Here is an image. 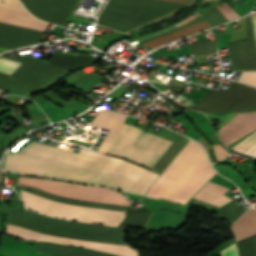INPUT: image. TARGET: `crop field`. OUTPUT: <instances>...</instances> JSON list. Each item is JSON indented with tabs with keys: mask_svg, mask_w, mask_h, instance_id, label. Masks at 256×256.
Returning a JSON list of instances; mask_svg holds the SVG:
<instances>
[{
	"mask_svg": "<svg viewBox=\"0 0 256 256\" xmlns=\"http://www.w3.org/2000/svg\"><path fill=\"white\" fill-rule=\"evenodd\" d=\"M2 181H3V171H2V177H1V183H0V185L2 184Z\"/></svg>",
	"mask_w": 256,
	"mask_h": 256,
	"instance_id": "27",
	"label": "crop field"
},
{
	"mask_svg": "<svg viewBox=\"0 0 256 256\" xmlns=\"http://www.w3.org/2000/svg\"><path fill=\"white\" fill-rule=\"evenodd\" d=\"M19 184L32 186L34 188L42 189L49 193L57 194V195L68 197V198L123 204V205L130 206V203H129L130 201L128 202V200L122 194L106 188L69 184V183L44 180V179L22 178V177L20 179ZM22 187L35 190V192H32V191H29V192L35 195H38L40 197H43L45 199L56 201V202L86 205V206L106 208V209H112V210H118V211H124V212H128L130 208L129 206H123V205L68 199V198L52 195L42 190L34 189L32 187H27V186H22ZM26 191L21 190L22 199L26 209H29L35 213H39L42 215L61 218V219L76 220L80 222L105 224L108 226H118L126 216V213H123V212L92 208V207H86V206H79V205L56 203V202L45 200L43 198L35 196Z\"/></svg>",
	"mask_w": 256,
	"mask_h": 256,
	"instance_id": "2",
	"label": "crop field"
},
{
	"mask_svg": "<svg viewBox=\"0 0 256 256\" xmlns=\"http://www.w3.org/2000/svg\"><path fill=\"white\" fill-rule=\"evenodd\" d=\"M126 115H122L112 111H99L90 125L110 129L106 139L98 149V152L106 153L111 142L119 131L122 123L124 122Z\"/></svg>",
	"mask_w": 256,
	"mask_h": 256,
	"instance_id": "13",
	"label": "crop field"
},
{
	"mask_svg": "<svg viewBox=\"0 0 256 256\" xmlns=\"http://www.w3.org/2000/svg\"><path fill=\"white\" fill-rule=\"evenodd\" d=\"M201 190L205 191V192H208V193H211L213 195H216L218 197H221V198H224L226 200H229L231 198L223 195L222 193L227 191L228 189L226 188H223V187H220L218 185H215V184H212L210 182H208ZM205 192H200L196 197V199H199L201 201H204L206 203H209L211 205H214V206H219L225 202H227L226 200H223L221 198H218V197H215L213 195H210V194H207Z\"/></svg>",
	"mask_w": 256,
	"mask_h": 256,
	"instance_id": "17",
	"label": "crop field"
},
{
	"mask_svg": "<svg viewBox=\"0 0 256 256\" xmlns=\"http://www.w3.org/2000/svg\"><path fill=\"white\" fill-rule=\"evenodd\" d=\"M236 113H223V114H209L208 116L219 119L221 124H225L230 120Z\"/></svg>",
	"mask_w": 256,
	"mask_h": 256,
	"instance_id": "23",
	"label": "crop field"
},
{
	"mask_svg": "<svg viewBox=\"0 0 256 256\" xmlns=\"http://www.w3.org/2000/svg\"><path fill=\"white\" fill-rule=\"evenodd\" d=\"M185 6L162 0H109L97 24L126 32Z\"/></svg>",
	"mask_w": 256,
	"mask_h": 256,
	"instance_id": "5",
	"label": "crop field"
},
{
	"mask_svg": "<svg viewBox=\"0 0 256 256\" xmlns=\"http://www.w3.org/2000/svg\"><path fill=\"white\" fill-rule=\"evenodd\" d=\"M192 108L203 113L255 111L256 89L233 81L228 92L210 89L206 97ZM255 144L256 131L231 149L242 154ZM244 155L256 157V145Z\"/></svg>",
	"mask_w": 256,
	"mask_h": 256,
	"instance_id": "6",
	"label": "crop field"
},
{
	"mask_svg": "<svg viewBox=\"0 0 256 256\" xmlns=\"http://www.w3.org/2000/svg\"><path fill=\"white\" fill-rule=\"evenodd\" d=\"M256 31V16H253ZM252 17L247 20V39L229 43L233 70H256V37Z\"/></svg>",
	"mask_w": 256,
	"mask_h": 256,
	"instance_id": "9",
	"label": "crop field"
},
{
	"mask_svg": "<svg viewBox=\"0 0 256 256\" xmlns=\"http://www.w3.org/2000/svg\"><path fill=\"white\" fill-rule=\"evenodd\" d=\"M208 27H210V24L207 22V20H205V21H202L200 23L194 24L192 26L185 27V28L173 31L171 33L159 36L157 38H154V39L148 41L147 43L143 44V46L154 49L155 47H157L161 44L167 43V42L172 41V40L179 39V38L184 37L186 35H189V34L197 32V31L206 29Z\"/></svg>",
	"mask_w": 256,
	"mask_h": 256,
	"instance_id": "15",
	"label": "crop field"
},
{
	"mask_svg": "<svg viewBox=\"0 0 256 256\" xmlns=\"http://www.w3.org/2000/svg\"><path fill=\"white\" fill-rule=\"evenodd\" d=\"M162 174L167 189L185 202L215 175L207 165L201 148L191 141ZM172 194L165 189L160 176L147 196L156 199L161 197L183 203Z\"/></svg>",
	"mask_w": 256,
	"mask_h": 256,
	"instance_id": "4",
	"label": "crop field"
},
{
	"mask_svg": "<svg viewBox=\"0 0 256 256\" xmlns=\"http://www.w3.org/2000/svg\"><path fill=\"white\" fill-rule=\"evenodd\" d=\"M5 169L28 175L105 185L144 196L158 174L125 160L81 148L78 154L31 142L7 153Z\"/></svg>",
	"mask_w": 256,
	"mask_h": 256,
	"instance_id": "1",
	"label": "crop field"
},
{
	"mask_svg": "<svg viewBox=\"0 0 256 256\" xmlns=\"http://www.w3.org/2000/svg\"><path fill=\"white\" fill-rule=\"evenodd\" d=\"M215 152L217 156V160H220L228 155H230L226 150H224L220 145L215 146Z\"/></svg>",
	"mask_w": 256,
	"mask_h": 256,
	"instance_id": "25",
	"label": "crop field"
},
{
	"mask_svg": "<svg viewBox=\"0 0 256 256\" xmlns=\"http://www.w3.org/2000/svg\"><path fill=\"white\" fill-rule=\"evenodd\" d=\"M7 213L8 223L16 224L20 227L31 229L34 231L50 235L72 237L97 242L125 244L122 241L121 228H109L90 224L50 219L20 209H18L17 211L7 210ZM11 224H8L6 233L16 237L89 247L104 252L119 254L122 256H138V253L128 245L97 243L78 239L50 236L23 229Z\"/></svg>",
	"mask_w": 256,
	"mask_h": 256,
	"instance_id": "3",
	"label": "crop field"
},
{
	"mask_svg": "<svg viewBox=\"0 0 256 256\" xmlns=\"http://www.w3.org/2000/svg\"><path fill=\"white\" fill-rule=\"evenodd\" d=\"M236 241L243 240L256 234V211L251 208L242 214L231 225Z\"/></svg>",
	"mask_w": 256,
	"mask_h": 256,
	"instance_id": "14",
	"label": "crop field"
},
{
	"mask_svg": "<svg viewBox=\"0 0 256 256\" xmlns=\"http://www.w3.org/2000/svg\"><path fill=\"white\" fill-rule=\"evenodd\" d=\"M221 256H237L235 243L221 251Z\"/></svg>",
	"mask_w": 256,
	"mask_h": 256,
	"instance_id": "24",
	"label": "crop field"
},
{
	"mask_svg": "<svg viewBox=\"0 0 256 256\" xmlns=\"http://www.w3.org/2000/svg\"><path fill=\"white\" fill-rule=\"evenodd\" d=\"M239 82L256 86V72H243Z\"/></svg>",
	"mask_w": 256,
	"mask_h": 256,
	"instance_id": "22",
	"label": "crop field"
},
{
	"mask_svg": "<svg viewBox=\"0 0 256 256\" xmlns=\"http://www.w3.org/2000/svg\"><path fill=\"white\" fill-rule=\"evenodd\" d=\"M19 65L20 63L0 58V72L12 75Z\"/></svg>",
	"mask_w": 256,
	"mask_h": 256,
	"instance_id": "20",
	"label": "crop field"
},
{
	"mask_svg": "<svg viewBox=\"0 0 256 256\" xmlns=\"http://www.w3.org/2000/svg\"><path fill=\"white\" fill-rule=\"evenodd\" d=\"M171 144L135 126L123 124L107 154L125 157L152 168Z\"/></svg>",
	"mask_w": 256,
	"mask_h": 256,
	"instance_id": "7",
	"label": "crop field"
},
{
	"mask_svg": "<svg viewBox=\"0 0 256 256\" xmlns=\"http://www.w3.org/2000/svg\"><path fill=\"white\" fill-rule=\"evenodd\" d=\"M0 6L25 11L18 0H0ZM3 7H0V22L44 32L47 23L34 19L29 13Z\"/></svg>",
	"mask_w": 256,
	"mask_h": 256,
	"instance_id": "11",
	"label": "crop field"
},
{
	"mask_svg": "<svg viewBox=\"0 0 256 256\" xmlns=\"http://www.w3.org/2000/svg\"><path fill=\"white\" fill-rule=\"evenodd\" d=\"M169 1H175V2H181V3H187L190 4L192 0H169Z\"/></svg>",
	"mask_w": 256,
	"mask_h": 256,
	"instance_id": "26",
	"label": "crop field"
},
{
	"mask_svg": "<svg viewBox=\"0 0 256 256\" xmlns=\"http://www.w3.org/2000/svg\"><path fill=\"white\" fill-rule=\"evenodd\" d=\"M3 58L22 64L12 76L0 73V85L29 95L45 89L68 72L26 57L24 60L9 56Z\"/></svg>",
	"mask_w": 256,
	"mask_h": 256,
	"instance_id": "8",
	"label": "crop field"
},
{
	"mask_svg": "<svg viewBox=\"0 0 256 256\" xmlns=\"http://www.w3.org/2000/svg\"><path fill=\"white\" fill-rule=\"evenodd\" d=\"M38 252L52 253V256H115L93 250L70 248L40 243Z\"/></svg>",
	"mask_w": 256,
	"mask_h": 256,
	"instance_id": "16",
	"label": "crop field"
},
{
	"mask_svg": "<svg viewBox=\"0 0 256 256\" xmlns=\"http://www.w3.org/2000/svg\"><path fill=\"white\" fill-rule=\"evenodd\" d=\"M219 11L226 17L228 21L240 17L235 11H233L227 4L217 6Z\"/></svg>",
	"mask_w": 256,
	"mask_h": 256,
	"instance_id": "21",
	"label": "crop field"
},
{
	"mask_svg": "<svg viewBox=\"0 0 256 256\" xmlns=\"http://www.w3.org/2000/svg\"><path fill=\"white\" fill-rule=\"evenodd\" d=\"M188 140V138L180 135L178 139L172 144V146L167 150V152L156 163V165L152 168V171L161 173Z\"/></svg>",
	"mask_w": 256,
	"mask_h": 256,
	"instance_id": "18",
	"label": "crop field"
},
{
	"mask_svg": "<svg viewBox=\"0 0 256 256\" xmlns=\"http://www.w3.org/2000/svg\"><path fill=\"white\" fill-rule=\"evenodd\" d=\"M78 0H21L36 17L63 26Z\"/></svg>",
	"mask_w": 256,
	"mask_h": 256,
	"instance_id": "10",
	"label": "crop field"
},
{
	"mask_svg": "<svg viewBox=\"0 0 256 256\" xmlns=\"http://www.w3.org/2000/svg\"><path fill=\"white\" fill-rule=\"evenodd\" d=\"M0 50H2V51H6L7 49L0 48Z\"/></svg>",
	"mask_w": 256,
	"mask_h": 256,
	"instance_id": "28",
	"label": "crop field"
},
{
	"mask_svg": "<svg viewBox=\"0 0 256 256\" xmlns=\"http://www.w3.org/2000/svg\"><path fill=\"white\" fill-rule=\"evenodd\" d=\"M254 129H256V111L237 113L230 122L218 131V134L228 146Z\"/></svg>",
	"mask_w": 256,
	"mask_h": 256,
	"instance_id": "12",
	"label": "crop field"
},
{
	"mask_svg": "<svg viewBox=\"0 0 256 256\" xmlns=\"http://www.w3.org/2000/svg\"><path fill=\"white\" fill-rule=\"evenodd\" d=\"M211 31L215 33L216 40L214 41L201 40L197 43L189 45V48L191 49L195 57L217 53L218 27L211 29Z\"/></svg>",
	"mask_w": 256,
	"mask_h": 256,
	"instance_id": "19",
	"label": "crop field"
}]
</instances>
